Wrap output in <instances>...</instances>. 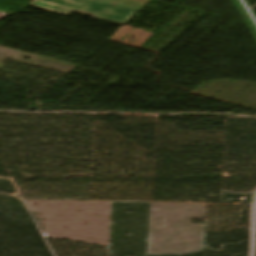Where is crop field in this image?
Masks as SVG:
<instances>
[{
  "label": "crop field",
  "mask_w": 256,
  "mask_h": 256,
  "mask_svg": "<svg viewBox=\"0 0 256 256\" xmlns=\"http://www.w3.org/2000/svg\"><path fill=\"white\" fill-rule=\"evenodd\" d=\"M30 5L69 15L71 10L124 24L136 11L95 0H33Z\"/></svg>",
  "instance_id": "crop-field-1"
},
{
  "label": "crop field",
  "mask_w": 256,
  "mask_h": 256,
  "mask_svg": "<svg viewBox=\"0 0 256 256\" xmlns=\"http://www.w3.org/2000/svg\"><path fill=\"white\" fill-rule=\"evenodd\" d=\"M8 14L0 13V19L7 16Z\"/></svg>",
  "instance_id": "crop-field-2"
}]
</instances>
